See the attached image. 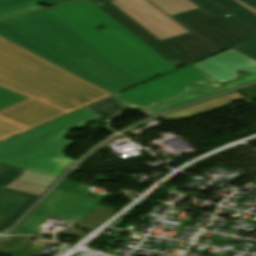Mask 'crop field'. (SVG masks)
I'll return each instance as SVG.
<instances>
[{
	"instance_id": "crop-field-29",
	"label": "crop field",
	"mask_w": 256,
	"mask_h": 256,
	"mask_svg": "<svg viewBox=\"0 0 256 256\" xmlns=\"http://www.w3.org/2000/svg\"><path fill=\"white\" fill-rule=\"evenodd\" d=\"M255 11H256V7L255 8H253Z\"/></svg>"
},
{
	"instance_id": "crop-field-1",
	"label": "crop field",
	"mask_w": 256,
	"mask_h": 256,
	"mask_svg": "<svg viewBox=\"0 0 256 256\" xmlns=\"http://www.w3.org/2000/svg\"><path fill=\"white\" fill-rule=\"evenodd\" d=\"M0 36L114 95L178 69L88 0L0 21Z\"/></svg>"
},
{
	"instance_id": "crop-field-17",
	"label": "crop field",
	"mask_w": 256,
	"mask_h": 256,
	"mask_svg": "<svg viewBox=\"0 0 256 256\" xmlns=\"http://www.w3.org/2000/svg\"><path fill=\"white\" fill-rule=\"evenodd\" d=\"M167 15L172 16L187 11L199 9L188 0H149Z\"/></svg>"
},
{
	"instance_id": "crop-field-18",
	"label": "crop field",
	"mask_w": 256,
	"mask_h": 256,
	"mask_svg": "<svg viewBox=\"0 0 256 256\" xmlns=\"http://www.w3.org/2000/svg\"><path fill=\"white\" fill-rule=\"evenodd\" d=\"M33 237H11L0 244V253L33 255L30 249V241Z\"/></svg>"
},
{
	"instance_id": "crop-field-12",
	"label": "crop field",
	"mask_w": 256,
	"mask_h": 256,
	"mask_svg": "<svg viewBox=\"0 0 256 256\" xmlns=\"http://www.w3.org/2000/svg\"><path fill=\"white\" fill-rule=\"evenodd\" d=\"M240 99H244L247 102L253 104V102L249 101L248 99L240 95L238 92H236V93H233L224 97H220L202 104L185 108L183 110L177 111L175 113L166 115L161 118L165 120L189 118L192 116H196L205 112H209V111L221 108L223 106L229 105L231 102H234Z\"/></svg>"
},
{
	"instance_id": "crop-field-3",
	"label": "crop field",
	"mask_w": 256,
	"mask_h": 256,
	"mask_svg": "<svg viewBox=\"0 0 256 256\" xmlns=\"http://www.w3.org/2000/svg\"><path fill=\"white\" fill-rule=\"evenodd\" d=\"M101 116L86 109L0 144V162L57 176L74 160L63 153L74 142L63 139L74 128Z\"/></svg>"
},
{
	"instance_id": "crop-field-26",
	"label": "crop field",
	"mask_w": 256,
	"mask_h": 256,
	"mask_svg": "<svg viewBox=\"0 0 256 256\" xmlns=\"http://www.w3.org/2000/svg\"><path fill=\"white\" fill-rule=\"evenodd\" d=\"M240 1H242L243 3H245L251 8L256 6V0H240Z\"/></svg>"
},
{
	"instance_id": "crop-field-15",
	"label": "crop field",
	"mask_w": 256,
	"mask_h": 256,
	"mask_svg": "<svg viewBox=\"0 0 256 256\" xmlns=\"http://www.w3.org/2000/svg\"><path fill=\"white\" fill-rule=\"evenodd\" d=\"M219 6L256 29V13L235 0H212Z\"/></svg>"
},
{
	"instance_id": "crop-field-8",
	"label": "crop field",
	"mask_w": 256,
	"mask_h": 256,
	"mask_svg": "<svg viewBox=\"0 0 256 256\" xmlns=\"http://www.w3.org/2000/svg\"><path fill=\"white\" fill-rule=\"evenodd\" d=\"M111 3L160 41L190 32L147 0H112Z\"/></svg>"
},
{
	"instance_id": "crop-field-19",
	"label": "crop field",
	"mask_w": 256,
	"mask_h": 256,
	"mask_svg": "<svg viewBox=\"0 0 256 256\" xmlns=\"http://www.w3.org/2000/svg\"><path fill=\"white\" fill-rule=\"evenodd\" d=\"M116 209L105 208L101 210H93L87 217H85L77 226L93 230L109 216H111Z\"/></svg>"
},
{
	"instance_id": "crop-field-16",
	"label": "crop field",
	"mask_w": 256,
	"mask_h": 256,
	"mask_svg": "<svg viewBox=\"0 0 256 256\" xmlns=\"http://www.w3.org/2000/svg\"><path fill=\"white\" fill-rule=\"evenodd\" d=\"M128 108L129 107L109 98L86 109L103 116L95 121L104 124L107 123L109 118L117 116L122 110Z\"/></svg>"
},
{
	"instance_id": "crop-field-28",
	"label": "crop field",
	"mask_w": 256,
	"mask_h": 256,
	"mask_svg": "<svg viewBox=\"0 0 256 256\" xmlns=\"http://www.w3.org/2000/svg\"><path fill=\"white\" fill-rule=\"evenodd\" d=\"M3 189H5V188H3V187H0V191H1V190H3Z\"/></svg>"
},
{
	"instance_id": "crop-field-23",
	"label": "crop field",
	"mask_w": 256,
	"mask_h": 256,
	"mask_svg": "<svg viewBox=\"0 0 256 256\" xmlns=\"http://www.w3.org/2000/svg\"><path fill=\"white\" fill-rule=\"evenodd\" d=\"M256 60V39L233 48Z\"/></svg>"
},
{
	"instance_id": "crop-field-20",
	"label": "crop field",
	"mask_w": 256,
	"mask_h": 256,
	"mask_svg": "<svg viewBox=\"0 0 256 256\" xmlns=\"http://www.w3.org/2000/svg\"><path fill=\"white\" fill-rule=\"evenodd\" d=\"M30 130H32V128L0 116V135L2 136L9 138L11 136L20 135Z\"/></svg>"
},
{
	"instance_id": "crop-field-24",
	"label": "crop field",
	"mask_w": 256,
	"mask_h": 256,
	"mask_svg": "<svg viewBox=\"0 0 256 256\" xmlns=\"http://www.w3.org/2000/svg\"><path fill=\"white\" fill-rule=\"evenodd\" d=\"M240 94L253 101L256 99V86L239 91Z\"/></svg>"
},
{
	"instance_id": "crop-field-25",
	"label": "crop field",
	"mask_w": 256,
	"mask_h": 256,
	"mask_svg": "<svg viewBox=\"0 0 256 256\" xmlns=\"http://www.w3.org/2000/svg\"><path fill=\"white\" fill-rule=\"evenodd\" d=\"M87 234L88 233H84L82 230H74L73 233L71 234V236L82 238Z\"/></svg>"
},
{
	"instance_id": "crop-field-21",
	"label": "crop field",
	"mask_w": 256,
	"mask_h": 256,
	"mask_svg": "<svg viewBox=\"0 0 256 256\" xmlns=\"http://www.w3.org/2000/svg\"><path fill=\"white\" fill-rule=\"evenodd\" d=\"M28 98L0 87V110L24 101Z\"/></svg>"
},
{
	"instance_id": "crop-field-11",
	"label": "crop field",
	"mask_w": 256,
	"mask_h": 256,
	"mask_svg": "<svg viewBox=\"0 0 256 256\" xmlns=\"http://www.w3.org/2000/svg\"><path fill=\"white\" fill-rule=\"evenodd\" d=\"M256 81V74H252V75H243V78L240 81L237 82H232L227 84L226 86L223 87V89L221 90H214L210 87H204V86H198L194 88V91L192 94L176 101L173 103H162L160 108L157 110H152V111H141L142 113L146 114L147 116L151 117L155 114H158L160 112H163L167 109H170L172 107L178 106V105H182L188 102H192L201 98H205L220 92H224L251 82Z\"/></svg>"
},
{
	"instance_id": "crop-field-27",
	"label": "crop field",
	"mask_w": 256,
	"mask_h": 256,
	"mask_svg": "<svg viewBox=\"0 0 256 256\" xmlns=\"http://www.w3.org/2000/svg\"><path fill=\"white\" fill-rule=\"evenodd\" d=\"M5 140H8V139L5 138V137L0 136V142H3V141H5Z\"/></svg>"
},
{
	"instance_id": "crop-field-13",
	"label": "crop field",
	"mask_w": 256,
	"mask_h": 256,
	"mask_svg": "<svg viewBox=\"0 0 256 256\" xmlns=\"http://www.w3.org/2000/svg\"><path fill=\"white\" fill-rule=\"evenodd\" d=\"M8 188L41 195L58 177L28 170Z\"/></svg>"
},
{
	"instance_id": "crop-field-10",
	"label": "crop field",
	"mask_w": 256,
	"mask_h": 256,
	"mask_svg": "<svg viewBox=\"0 0 256 256\" xmlns=\"http://www.w3.org/2000/svg\"><path fill=\"white\" fill-rule=\"evenodd\" d=\"M39 196L5 189L0 192V232L7 229Z\"/></svg>"
},
{
	"instance_id": "crop-field-14",
	"label": "crop field",
	"mask_w": 256,
	"mask_h": 256,
	"mask_svg": "<svg viewBox=\"0 0 256 256\" xmlns=\"http://www.w3.org/2000/svg\"><path fill=\"white\" fill-rule=\"evenodd\" d=\"M68 1L72 0H0V19L41 9V3L51 6Z\"/></svg>"
},
{
	"instance_id": "crop-field-4",
	"label": "crop field",
	"mask_w": 256,
	"mask_h": 256,
	"mask_svg": "<svg viewBox=\"0 0 256 256\" xmlns=\"http://www.w3.org/2000/svg\"><path fill=\"white\" fill-rule=\"evenodd\" d=\"M201 9L172 16L184 27L221 52L256 38V30L211 0H190ZM229 14L226 18L223 15Z\"/></svg>"
},
{
	"instance_id": "crop-field-22",
	"label": "crop field",
	"mask_w": 256,
	"mask_h": 256,
	"mask_svg": "<svg viewBox=\"0 0 256 256\" xmlns=\"http://www.w3.org/2000/svg\"><path fill=\"white\" fill-rule=\"evenodd\" d=\"M0 168L3 169L0 171V186L3 187L7 186L9 183L22 175L21 170L10 165L0 164Z\"/></svg>"
},
{
	"instance_id": "crop-field-5",
	"label": "crop field",
	"mask_w": 256,
	"mask_h": 256,
	"mask_svg": "<svg viewBox=\"0 0 256 256\" xmlns=\"http://www.w3.org/2000/svg\"><path fill=\"white\" fill-rule=\"evenodd\" d=\"M194 84L211 85L216 89L222 86V83L190 66L112 98L132 109H153L159 102L176 100L189 93Z\"/></svg>"
},
{
	"instance_id": "crop-field-2",
	"label": "crop field",
	"mask_w": 256,
	"mask_h": 256,
	"mask_svg": "<svg viewBox=\"0 0 256 256\" xmlns=\"http://www.w3.org/2000/svg\"><path fill=\"white\" fill-rule=\"evenodd\" d=\"M0 86L30 98L0 115L32 128L113 96L2 37Z\"/></svg>"
},
{
	"instance_id": "crop-field-6",
	"label": "crop field",
	"mask_w": 256,
	"mask_h": 256,
	"mask_svg": "<svg viewBox=\"0 0 256 256\" xmlns=\"http://www.w3.org/2000/svg\"><path fill=\"white\" fill-rule=\"evenodd\" d=\"M90 1L168 60H177L188 66L218 53L192 33L160 42L107 0ZM177 50L181 52H174Z\"/></svg>"
},
{
	"instance_id": "crop-field-7",
	"label": "crop field",
	"mask_w": 256,
	"mask_h": 256,
	"mask_svg": "<svg viewBox=\"0 0 256 256\" xmlns=\"http://www.w3.org/2000/svg\"><path fill=\"white\" fill-rule=\"evenodd\" d=\"M102 202L103 200L56 190L12 234H38L50 217L79 223Z\"/></svg>"
},
{
	"instance_id": "crop-field-9",
	"label": "crop field",
	"mask_w": 256,
	"mask_h": 256,
	"mask_svg": "<svg viewBox=\"0 0 256 256\" xmlns=\"http://www.w3.org/2000/svg\"><path fill=\"white\" fill-rule=\"evenodd\" d=\"M193 66L222 83L238 79L240 72L256 73V61L232 49Z\"/></svg>"
}]
</instances>
